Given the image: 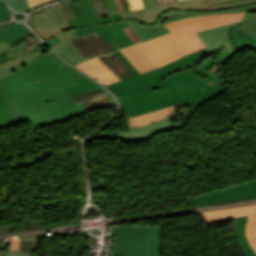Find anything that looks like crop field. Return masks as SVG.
I'll list each match as a JSON object with an SVG mask.
<instances>
[{"label": "crop field", "mask_w": 256, "mask_h": 256, "mask_svg": "<svg viewBox=\"0 0 256 256\" xmlns=\"http://www.w3.org/2000/svg\"><path fill=\"white\" fill-rule=\"evenodd\" d=\"M79 6L84 16L68 20L67 22L69 24L70 29L100 25L109 22L123 20L121 14L113 17L99 18L91 0H82L81 3H79Z\"/></svg>", "instance_id": "13"}, {"label": "crop field", "mask_w": 256, "mask_h": 256, "mask_svg": "<svg viewBox=\"0 0 256 256\" xmlns=\"http://www.w3.org/2000/svg\"><path fill=\"white\" fill-rule=\"evenodd\" d=\"M15 123L18 120L0 87V128Z\"/></svg>", "instance_id": "24"}, {"label": "crop field", "mask_w": 256, "mask_h": 256, "mask_svg": "<svg viewBox=\"0 0 256 256\" xmlns=\"http://www.w3.org/2000/svg\"><path fill=\"white\" fill-rule=\"evenodd\" d=\"M107 38H110L119 49L134 44L121 26L101 30Z\"/></svg>", "instance_id": "25"}, {"label": "crop field", "mask_w": 256, "mask_h": 256, "mask_svg": "<svg viewBox=\"0 0 256 256\" xmlns=\"http://www.w3.org/2000/svg\"><path fill=\"white\" fill-rule=\"evenodd\" d=\"M58 66L60 64L46 53L0 79L19 122L29 121L33 130L54 125L45 103L68 95L63 86L74 82Z\"/></svg>", "instance_id": "1"}, {"label": "crop field", "mask_w": 256, "mask_h": 256, "mask_svg": "<svg viewBox=\"0 0 256 256\" xmlns=\"http://www.w3.org/2000/svg\"><path fill=\"white\" fill-rule=\"evenodd\" d=\"M100 89H103V88H100ZM100 89L91 90V91H86V92L77 93V94H72V95H70V96H71V98H73V97H75V96H79V95L88 94V93H91V92H94V91H97V90H100Z\"/></svg>", "instance_id": "46"}, {"label": "crop field", "mask_w": 256, "mask_h": 256, "mask_svg": "<svg viewBox=\"0 0 256 256\" xmlns=\"http://www.w3.org/2000/svg\"><path fill=\"white\" fill-rule=\"evenodd\" d=\"M111 105H116L115 100L109 101V102H105V103H101V104L94 105V106H90V107H86L85 109L87 111H89V110H93V109H97V108H102V107H106V106H111Z\"/></svg>", "instance_id": "40"}, {"label": "crop field", "mask_w": 256, "mask_h": 256, "mask_svg": "<svg viewBox=\"0 0 256 256\" xmlns=\"http://www.w3.org/2000/svg\"><path fill=\"white\" fill-rule=\"evenodd\" d=\"M245 13H225L182 19L164 25L171 33L163 37L182 55L205 47L195 32L239 22Z\"/></svg>", "instance_id": "4"}, {"label": "crop field", "mask_w": 256, "mask_h": 256, "mask_svg": "<svg viewBox=\"0 0 256 256\" xmlns=\"http://www.w3.org/2000/svg\"><path fill=\"white\" fill-rule=\"evenodd\" d=\"M116 2H117V4H118V6H119L121 12H122V13L126 12V11H125V8H124V6H123L122 0H116Z\"/></svg>", "instance_id": "47"}, {"label": "crop field", "mask_w": 256, "mask_h": 256, "mask_svg": "<svg viewBox=\"0 0 256 256\" xmlns=\"http://www.w3.org/2000/svg\"><path fill=\"white\" fill-rule=\"evenodd\" d=\"M0 47H1V49H2L3 52L6 51V50H8V49H10V46H8L7 44H5L4 42H1V43H0Z\"/></svg>", "instance_id": "48"}, {"label": "crop field", "mask_w": 256, "mask_h": 256, "mask_svg": "<svg viewBox=\"0 0 256 256\" xmlns=\"http://www.w3.org/2000/svg\"><path fill=\"white\" fill-rule=\"evenodd\" d=\"M118 25H121L122 28L128 27V25L126 24L125 21H120V22H114V23H109V24L95 26V27L80 28V29L72 30V32L76 36V38H78L83 35L89 34L91 32L98 31L103 28H108V27H113V26H118Z\"/></svg>", "instance_id": "30"}, {"label": "crop field", "mask_w": 256, "mask_h": 256, "mask_svg": "<svg viewBox=\"0 0 256 256\" xmlns=\"http://www.w3.org/2000/svg\"><path fill=\"white\" fill-rule=\"evenodd\" d=\"M168 87L140 95L119 98L128 118L177 103L193 107L225 91L220 85H208V78L200 79L191 69L164 76Z\"/></svg>", "instance_id": "2"}, {"label": "crop field", "mask_w": 256, "mask_h": 256, "mask_svg": "<svg viewBox=\"0 0 256 256\" xmlns=\"http://www.w3.org/2000/svg\"><path fill=\"white\" fill-rule=\"evenodd\" d=\"M241 31L237 27L230 30L236 51L244 48H251L256 51V40Z\"/></svg>", "instance_id": "27"}, {"label": "crop field", "mask_w": 256, "mask_h": 256, "mask_svg": "<svg viewBox=\"0 0 256 256\" xmlns=\"http://www.w3.org/2000/svg\"><path fill=\"white\" fill-rule=\"evenodd\" d=\"M2 53L1 49H0V54Z\"/></svg>", "instance_id": "50"}, {"label": "crop field", "mask_w": 256, "mask_h": 256, "mask_svg": "<svg viewBox=\"0 0 256 256\" xmlns=\"http://www.w3.org/2000/svg\"><path fill=\"white\" fill-rule=\"evenodd\" d=\"M180 104H182V103H180ZM180 104L173 105V106L163 108L160 110H156L153 112H149L146 114H142L139 116L131 117V118H129L130 126H131V128L139 127V126L149 124V123L158 121L160 119L166 118L168 116L174 115V114H176L174 106H178Z\"/></svg>", "instance_id": "20"}, {"label": "crop field", "mask_w": 256, "mask_h": 256, "mask_svg": "<svg viewBox=\"0 0 256 256\" xmlns=\"http://www.w3.org/2000/svg\"><path fill=\"white\" fill-rule=\"evenodd\" d=\"M19 242V239L11 238L9 250H18Z\"/></svg>", "instance_id": "43"}, {"label": "crop field", "mask_w": 256, "mask_h": 256, "mask_svg": "<svg viewBox=\"0 0 256 256\" xmlns=\"http://www.w3.org/2000/svg\"><path fill=\"white\" fill-rule=\"evenodd\" d=\"M113 99L114 98L105 89L88 95L73 98L76 105L82 104L84 107Z\"/></svg>", "instance_id": "23"}, {"label": "crop field", "mask_w": 256, "mask_h": 256, "mask_svg": "<svg viewBox=\"0 0 256 256\" xmlns=\"http://www.w3.org/2000/svg\"><path fill=\"white\" fill-rule=\"evenodd\" d=\"M127 3L130 11L144 8L141 0H127Z\"/></svg>", "instance_id": "37"}, {"label": "crop field", "mask_w": 256, "mask_h": 256, "mask_svg": "<svg viewBox=\"0 0 256 256\" xmlns=\"http://www.w3.org/2000/svg\"><path fill=\"white\" fill-rule=\"evenodd\" d=\"M68 5L71 8L72 12L74 13L75 17L82 15L77 4L73 5L72 2H69Z\"/></svg>", "instance_id": "42"}, {"label": "crop field", "mask_w": 256, "mask_h": 256, "mask_svg": "<svg viewBox=\"0 0 256 256\" xmlns=\"http://www.w3.org/2000/svg\"><path fill=\"white\" fill-rule=\"evenodd\" d=\"M10 4L17 10L30 11L27 0H9Z\"/></svg>", "instance_id": "34"}, {"label": "crop field", "mask_w": 256, "mask_h": 256, "mask_svg": "<svg viewBox=\"0 0 256 256\" xmlns=\"http://www.w3.org/2000/svg\"><path fill=\"white\" fill-rule=\"evenodd\" d=\"M10 14H11V11L6 6V4L0 5V22L8 20Z\"/></svg>", "instance_id": "36"}, {"label": "crop field", "mask_w": 256, "mask_h": 256, "mask_svg": "<svg viewBox=\"0 0 256 256\" xmlns=\"http://www.w3.org/2000/svg\"><path fill=\"white\" fill-rule=\"evenodd\" d=\"M42 37H44L45 39H50L52 36H54L51 32H49L47 29L46 30H43V31H40L38 32ZM47 42V41H45Z\"/></svg>", "instance_id": "44"}, {"label": "crop field", "mask_w": 256, "mask_h": 256, "mask_svg": "<svg viewBox=\"0 0 256 256\" xmlns=\"http://www.w3.org/2000/svg\"><path fill=\"white\" fill-rule=\"evenodd\" d=\"M76 66L104 86L112 82L119 81V79L106 66H104L97 57L84 61Z\"/></svg>", "instance_id": "16"}, {"label": "crop field", "mask_w": 256, "mask_h": 256, "mask_svg": "<svg viewBox=\"0 0 256 256\" xmlns=\"http://www.w3.org/2000/svg\"><path fill=\"white\" fill-rule=\"evenodd\" d=\"M137 45L157 67L163 66L181 57V55L162 36Z\"/></svg>", "instance_id": "10"}, {"label": "crop field", "mask_w": 256, "mask_h": 256, "mask_svg": "<svg viewBox=\"0 0 256 256\" xmlns=\"http://www.w3.org/2000/svg\"><path fill=\"white\" fill-rule=\"evenodd\" d=\"M205 54L200 50L186 55L166 66L156 68L138 76H134L109 85L107 88L112 90L118 97L135 95L168 86L163 75L177 71L189 69L203 59Z\"/></svg>", "instance_id": "5"}, {"label": "crop field", "mask_w": 256, "mask_h": 256, "mask_svg": "<svg viewBox=\"0 0 256 256\" xmlns=\"http://www.w3.org/2000/svg\"><path fill=\"white\" fill-rule=\"evenodd\" d=\"M98 36L100 37V39L114 52L116 50H118L117 46L110 40L107 39L104 34L99 31L97 32Z\"/></svg>", "instance_id": "35"}, {"label": "crop field", "mask_w": 256, "mask_h": 256, "mask_svg": "<svg viewBox=\"0 0 256 256\" xmlns=\"http://www.w3.org/2000/svg\"><path fill=\"white\" fill-rule=\"evenodd\" d=\"M111 256H148L149 227H114Z\"/></svg>", "instance_id": "7"}, {"label": "crop field", "mask_w": 256, "mask_h": 256, "mask_svg": "<svg viewBox=\"0 0 256 256\" xmlns=\"http://www.w3.org/2000/svg\"><path fill=\"white\" fill-rule=\"evenodd\" d=\"M248 216V215H247ZM247 216H243L240 218H237L236 220V228H235V237L241 244L246 256H256L254 251L252 250L251 246L249 245L247 238L244 234L245 224L247 220ZM237 241V242H238Z\"/></svg>", "instance_id": "28"}, {"label": "crop field", "mask_w": 256, "mask_h": 256, "mask_svg": "<svg viewBox=\"0 0 256 256\" xmlns=\"http://www.w3.org/2000/svg\"><path fill=\"white\" fill-rule=\"evenodd\" d=\"M29 22L37 30H43L48 28L53 29L62 26L53 7L46 9L42 13H37L31 16Z\"/></svg>", "instance_id": "18"}, {"label": "crop field", "mask_w": 256, "mask_h": 256, "mask_svg": "<svg viewBox=\"0 0 256 256\" xmlns=\"http://www.w3.org/2000/svg\"><path fill=\"white\" fill-rule=\"evenodd\" d=\"M102 1L109 16H113L120 13L115 0H102Z\"/></svg>", "instance_id": "33"}, {"label": "crop field", "mask_w": 256, "mask_h": 256, "mask_svg": "<svg viewBox=\"0 0 256 256\" xmlns=\"http://www.w3.org/2000/svg\"><path fill=\"white\" fill-rule=\"evenodd\" d=\"M53 58H55L61 65L65 64L64 61H62L56 54H54L52 51L48 52Z\"/></svg>", "instance_id": "45"}, {"label": "crop field", "mask_w": 256, "mask_h": 256, "mask_svg": "<svg viewBox=\"0 0 256 256\" xmlns=\"http://www.w3.org/2000/svg\"><path fill=\"white\" fill-rule=\"evenodd\" d=\"M76 48L84 55L86 59L111 53L112 51L99 39L96 33L71 40Z\"/></svg>", "instance_id": "15"}, {"label": "crop field", "mask_w": 256, "mask_h": 256, "mask_svg": "<svg viewBox=\"0 0 256 256\" xmlns=\"http://www.w3.org/2000/svg\"><path fill=\"white\" fill-rule=\"evenodd\" d=\"M142 1L145 9L122 14L124 20L135 19L141 23L150 25L157 22L160 15L169 9L216 11L256 3V0H184L156 6L154 0Z\"/></svg>", "instance_id": "6"}, {"label": "crop field", "mask_w": 256, "mask_h": 256, "mask_svg": "<svg viewBox=\"0 0 256 256\" xmlns=\"http://www.w3.org/2000/svg\"><path fill=\"white\" fill-rule=\"evenodd\" d=\"M38 239L30 240L29 251H22L23 240L20 242L19 251H0V256H32L31 251H37Z\"/></svg>", "instance_id": "32"}, {"label": "crop field", "mask_w": 256, "mask_h": 256, "mask_svg": "<svg viewBox=\"0 0 256 256\" xmlns=\"http://www.w3.org/2000/svg\"><path fill=\"white\" fill-rule=\"evenodd\" d=\"M61 68L76 81L70 85L65 86L69 94L100 88L99 85L94 83L92 80H90L86 76L77 72L68 64L61 66Z\"/></svg>", "instance_id": "17"}, {"label": "crop field", "mask_w": 256, "mask_h": 256, "mask_svg": "<svg viewBox=\"0 0 256 256\" xmlns=\"http://www.w3.org/2000/svg\"><path fill=\"white\" fill-rule=\"evenodd\" d=\"M55 123L79 116L86 112L82 105L76 106L70 96L46 104Z\"/></svg>", "instance_id": "14"}, {"label": "crop field", "mask_w": 256, "mask_h": 256, "mask_svg": "<svg viewBox=\"0 0 256 256\" xmlns=\"http://www.w3.org/2000/svg\"><path fill=\"white\" fill-rule=\"evenodd\" d=\"M5 2H4V0H0V4H4Z\"/></svg>", "instance_id": "49"}, {"label": "crop field", "mask_w": 256, "mask_h": 256, "mask_svg": "<svg viewBox=\"0 0 256 256\" xmlns=\"http://www.w3.org/2000/svg\"><path fill=\"white\" fill-rule=\"evenodd\" d=\"M120 80L134 76V74L124 65V63L114 53L98 57ZM118 58V60H115Z\"/></svg>", "instance_id": "21"}, {"label": "crop field", "mask_w": 256, "mask_h": 256, "mask_svg": "<svg viewBox=\"0 0 256 256\" xmlns=\"http://www.w3.org/2000/svg\"><path fill=\"white\" fill-rule=\"evenodd\" d=\"M48 49H46L44 46L40 48L37 52L27 56L23 57L17 60L10 61L8 63L0 64V78L6 76L7 74L13 72L14 70L30 63L31 61L35 60L36 58L40 57L44 53H46Z\"/></svg>", "instance_id": "22"}, {"label": "crop field", "mask_w": 256, "mask_h": 256, "mask_svg": "<svg viewBox=\"0 0 256 256\" xmlns=\"http://www.w3.org/2000/svg\"><path fill=\"white\" fill-rule=\"evenodd\" d=\"M29 34V31L25 29L22 25L10 24L0 27V41L12 45L17 39L11 40L10 38Z\"/></svg>", "instance_id": "26"}, {"label": "crop field", "mask_w": 256, "mask_h": 256, "mask_svg": "<svg viewBox=\"0 0 256 256\" xmlns=\"http://www.w3.org/2000/svg\"><path fill=\"white\" fill-rule=\"evenodd\" d=\"M125 32L131 37V39L137 43V42H141V40L138 38V36L132 31V29L130 27L128 28H124Z\"/></svg>", "instance_id": "41"}, {"label": "crop field", "mask_w": 256, "mask_h": 256, "mask_svg": "<svg viewBox=\"0 0 256 256\" xmlns=\"http://www.w3.org/2000/svg\"><path fill=\"white\" fill-rule=\"evenodd\" d=\"M256 198V180L193 198L197 206Z\"/></svg>", "instance_id": "9"}, {"label": "crop field", "mask_w": 256, "mask_h": 256, "mask_svg": "<svg viewBox=\"0 0 256 256\" xmlns=\"http://www.w3.org/2000/svg\"><path fill=\"white\" fill-rule=\"evenodd\" d=\"M176 118H177V115H174L146 126L130 129L128 133L118 132L116 134H113V138L129 140V141H139V140L149 139L151 137L150 135L152 134L169 130V129H175L176 127L171 123V121H173Z\"/></svg>", "instance_id": "12"}, {"label": "crop field", "mask_w": 256, "mask_h": 256, "mask_svg": "<svg viewBox=\"0 0 256 256\" xmlns=\"http://www.w3.org/2000/svg\"><path fill=\"white\" fill-rule=\"evenodd\" d=\"M64 27L56 28L50 30L53 34L57 35V37L61 40L62 43L52 47L56 52L60 55L64 56L73 64L81 62L85 60L83 55L75 48V46L69 41L71 39H75L74 35L71 33L67 22L65 21L59 7H55Z\"/></svg>", "instance_id": "11"}, {"label": "crop field", "mask_w": 256, "mask_h": 256, "mask_svg": "<svg viewBox=\"0 0 256 256\" xmlns=\"http://www.w3.org/2000/svg\"><path fill=\"white\" fill-rule=\"evenodd\" d=\"M119 58L126 64V66L135 74L138 75L139 73L137 72V70L132 66V64L127 60V58L121 53L120 50H118L117 52H115Z\"/></svg>", "instance_id": "38"}, {"label": "crop field", "mask_w": 256, "mask_h": 256, "mask_svg": "<svg viewBox=\"0 0 256 256\" xmlns=\"http://www.w3.org/2000/svg\"><path fill=\"white\" fill-rule=\"evenodd\" d=\"M51 1H55V0H28V3L30 6V9L32 10L38 6L50 3Z\"/></svg>", "instance_id": "39"}, {"label": "crop field", "mask_w": 256, "mask_h": 256, "mask_svg": "<svg viewBox=\"0 0 256 256\" xmlns=\"http://www.w3.org/2000/svg\"><path fill=\"white\" fill-rule=\"evenodd\" d=\"M209 225L249 214L245 233L256 253V205L235 206L202 212Z\"/></svg>", "instance_id": "8"}, {"label": "crop field", "mask_w": 256, "mask_h": 256, "mask_svg": "<svg viewBox=\"0 0 256 256\" xmlns=\"http://www.w3.org/2000/svg\"><path fill=\"white\" fill-rule=\"evenodd\" d=\"M225 12H245L246 15L242 22L198 32V36L207 46L206 48L201 49V51L204 52L206 55H209L215 50L224 46L230 51L231 54H235L236 52L234 49V45L232 43L228 30L237 26L240 30L256 39V4L247 7L233 8L229 10L216 12L169 10L161 15L160 19L155 25L150 26L141 24L135 20H126V22L133 29V31L140 37V39L142 41H145L169 33V31L163 26L166 23H170L187 17Z\"/></svg>", "instance_id": "3"}, {"label": "crop field", "mask_w": 256, "mask_h": 256, "mask_svg": "<svg viewBox=\"0 0 256 256\" xmlns=\"http://www.w3.org/2000/svg\"><path fill=\"white\" fill-rule=\"evenodd\" d=\"M121 51L134 65V67L139 71L140 74L145 71L156 68V66L151 62V60L136 45L122 49Z\"/></svg>", "instance_id": "19"}, {"label": "crop field", "mask_w": 256, "mask_h": 256, "mask_svg": "<svg viewBox=\"0 0 256 256\" xmlns=\"http://www.w3.org/2000/svg\"><path fill=\"white\" fill-rule=\"evenodd\" d=\"M160 227H150V254L149 256H159Z\"/></svg>", "instance_id": "31"}, {"label": "crop field", "mask_w": 256, "mask_h": 256, "mask_svg": "<svg viewBox=\"0 0 256 256\" xmlns=\"http://www.w3.org/2000/svg\"><path fill=\"white\" fill-rule=\"evenodd\" d=\"M21 44L4 52V56L7 61L11 60L12 58L22 57L27 54L33 53L35 50H37L38 44H34L28 47L26 41L22 42V47L20 48Z\"/></svg>", "instance_id": "29"}]
</instances>
